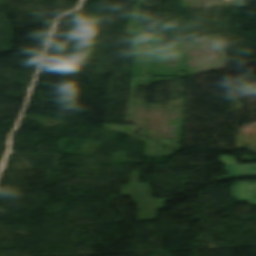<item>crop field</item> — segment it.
<instances>
[{
	"instance_id": "crop-field-2",
	"label": "crop field",
	"mask_w": 256,
	"mask_h": 256,
	"mask_svg": "<svg viewBox=\"0 0 256 256\" xmlns=\"http://www.w3.org/2000/svg\"><path fill=\"white\" fill-rule=\"evenodd\" d=\"M222 163H226L227 171L230 175L217 178L216 181L230 180L235 177L256 176V164L241 165L236 164V157L221 156Z\"/></svg>"
},
{
	"instance_id": "crop-field-3",
	"label": "crop field",
	"mask_w": 256,
	"mask_h": 256,
	"mask_svg": "<svg viewBox=\"0 0 256 256\" xmlns=\"http://www.w3.org/2000/svg\"><path fill=\"white\" fill-rule=\"evenodd\" d=\"M232 197L256 205V182H238L232 186Z\"/></svg>"
},
{
	"instance_id": "crop-field-1",
	"label": "crop field",
	"mask_w": 256,
	"mask_h": 256,
	"mask_svg": "<svg viewBox=\"0 0 256 256\" xmlns=\"http://www.w3.org/2000/svg\"><path fill=\"white\" fill-rule=\"evenodd\" d=\"M140 172H133L131 177V184L122 186L121 195H131L134 202L138 204L139 221L144 220H157V210L165 207V202L155 201H169L172 199H154L149 183L139 184ZM149 191V193H145ZM175 199V198H173ZM141 202H155V203H144Z\"/></svg>"
}]
</instances>
